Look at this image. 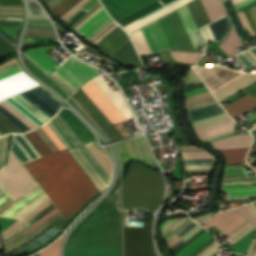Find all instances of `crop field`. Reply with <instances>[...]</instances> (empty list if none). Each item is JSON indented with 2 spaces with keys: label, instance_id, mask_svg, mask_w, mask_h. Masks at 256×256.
I'll use <instances>...</instances> for the list:
<instances>
[{
  "label": "crop field",
  "instance_id": "crop-field-1",
  "mask_svg": "<svg viewBox=\"0 0 256 256\" xmlns=\"http://www.w3.org/2000/svg\"><path fill=\"white\" fill-rule=\"evenodd\" d=\"M35 161L75 212L89 198L100 192L67 149L35 159ZM35 161L27 162L23 166L62 215L71 217L75 212Z\"/></svg>",
  "mask_w": 256,
  "mask_h": 256
},
{
  "label": "crop field",
  "instance_id": "crop-field-2",
  "mask_svg": "<svg viewBox=\"0 0 256 256\" xmlns=\"http://www.w3.org/2000/svg\"><path fill=\"white\" fill-rule=\"evenodd\" d=\"M64 256H121L120 211L107 197L71 232Z\"/></svg>",
  "mask_w": 256,
  "mask_h": 256
},
{
  "label": "crop field",
  "instance_id": "crop-field-3",
  "mask_svg": "<svg viewBox=\"0 0 256 256\" xmlns=\"http://www.w3.org/2000/svg\"><path fill=\"white\" fill-rule=\"evenodd\" d=\"M140 164H131L123 180V206L125 209L143 207L153 212L163 197V178L161 173Z\"/></svg>",
  "mask_w": 256,
  "mask_h": 256
},
{
  "label": "crop field",
  "instance_id": "crop-field-4",
  "mask_svg": "<svg viewBox=\"0 0 256 256\" xmlns=\"http://www.w3.org/2000/svg\"><path fill=\"white\" fill-rule=\"evenodd\" d=\"M25 193L9 175L5 168L0 170V213L20 199ZM38 210L25 194L19 201L4 211L0 216L19 220L3 231L4 238L21 226Z\"/></svg>",
  "mask_w": 256,
  "mask_h": 256
},
{
  "label": "crop field",
  "instance_id": "crop-field-5",
  "mask_svg": "<svg viewBox=\"0 0 256 256\" xmlns=\"http://www.w3.org/2000/svg\"><path fill=\"white\" fill-rule=\"evenodd\" d=\"M161 19L176 50L197 51L199 31L186 5Z\"/></svg>",
  "mask_w": 256,
  "mask_h": 256
},
{
  "label": "crop field",
  "instance_id": "crop-field-6",
  "mask_svg": "<svg viewBox=\"0 0 256 256\" xmlns=\"http://www.w3.org/2000/svg\"><path fill=\"white\" fill-rule=\"evenodd\" d=\"M244 221H246L245 217L236 208H234L217 214L210 220L202 223V225L205 226L206 228L213 225L220 229L221 231L225 232L226 234H229ZM251 226L252 225L247 220L227 237L229 238V240L231 238L234 240ZM254 229L255 228L252 226L234 241L231 239L234 244L229 248V250L236 251L244 255L247 252V249L252 240ZM226 234L223 233V235L225 236Z\"/></svg>",
  "mask_w": 256,
  "mask_h": 256
},
{
  "label": "crop field",
  "instance_id": "crop-field-7",
  "mask_svg": "<svg viewBox=\"0 0 256 256\" xmlns=\"http://www.w3.org/2000/svg\"><path fill=\"white\" fill-rule=\"evenodd\" d=\"M99 74L101 73L97 70L85 65L71 56L58 69L49 75L58 81L59 84L69 94H71L80 86Z\"/></svg>",
  "mask_w": 256,
  "mask_h": 256
},
{
  "label": "crop field",
  "instance_id": "crop-field-8",
  "mask_svg": "<svg viewBox=\"0 0 256 256\" xmlns=\"http://www.w3.org/2000/svg\"><path fill=\"white\" fill-rule=\"evenodd\" d=\"M190 1L158 0L117 23L130 33Z\"/></svg>",
  "mask_w": 256,
  "mask_h": 256
},
{
  "label": "crop field",
  "instance_id": "crop-field-9",
  "mask_svg": "<svg viewBox=\"0 0 256 256\" xmlns=\"http://www.w3.org/2000/svg\"><path fill=\"white\" fill-rule=\"evenodd\" d=\"M123 216L124 256H157L151 239V223L145 222L144 228L125 227Z\"/></svg>",
  "mask_w": 256,
  "mask_h": 256
},
{
  "label": "crop field",
  "instance_id": "crop-field-10",
  "mask_svg": "<svg viewBox=\"0 0 256 256\" xmlns=\"http://www.w3.org/2000/svg\"><path fill=\"white\" fill-rule=\"evenodd\" d=\"M169 221V220H168ZM191 220L188 218L186 219H179V220H170L169 222H165L162 226L163 235L166 237V239L170 238L172 235H174L176 232H178L181 228H183L185 225H187ZM196 226H198L195 222L189 223L187 226H185L183 229H181L178 233H176L174 236H172L170 239L167 240L169 247L173 245L175 242H177L179 239H181L184 235H186L188 232H190L192 229H194ZM202 228L200 225L196 227L194 230H192L190 233H188L185 237H183L181 240H179L177 243H175L173 246L170 247L173 251L176 250L178 247H180L182 244H184L186 241H188L190 238H192L194 235H196L198 232H200ZM206 230H202L200 233H198L196 236H194L192 239H190L188 242H186L184 245H182L180 248H178L175 252L177 254L179 251H181L184 247H186L189 243H191L193 240H195L198 236H200L203 232Z\"/></svg>",
  "mask_w": 256,
  "mask_h": 256
},
{
  "label": "crop field",
  "instance_id": "crop-field-11",
  "mask_svg": "<svg viewBox=\"0 0 256 256\" xmlns=\"http://www.w3.org/2000/svg\"><path fill=\"white\" fill-rule=\"evenodd\" d=\"M59 113L83 144L93 140V134L90 130L71 111L63 109ZM85 146L110 177L112 171V163L110 159L94 146L93 141L85 144Z\"/></svg>",
  "mask_w": 256,
  "mask_h": 256
},
{
  "label": "crop field",
  "instance_id": "crop-field-12",
  "mask_svg": "<svg viewBox=\"0 0 256 256\" xmlns=\"http://www.w3.org/2000/svg\"><path fill=\"white\" fill-rule=\"evenodd\" d=\"M48 225L50 227V224L47 222V220L43 217V215L38 211L35 213L31 218L28 219L26 223H24L21 227H19L16 231H14L12 234H10L7 238H5V243L8 244L11 241L17 239L18 237L24 235L27 236L30 233L34 232L38 228L42 227L43 225ZM43 226L42 228L38 229L34 233L30 234L27 237H20L17 240L11 242L10 244L6 245V251L9 253L12 250L16 249L20 245H24L34 239L36 236L41 234L43 231H45L47 226Z\"/></svg>",
  "mask_w": 256,
  "mask_h": 256
},
{
  "label": "crop field",
  "instance_id": "crop-field-13",
  "mask_svg": "<svg viewBox=\"0 0 256 256\" xmlns=\"http://www.w3.org/2000/svg\"><path fill=\"white\" fill-rule=\"evenodd\" d=\"M252 141L251 134L234 135L219 140L212 141L211 144L218 150H233V149H243L248 148ZM248 149L244 150H234V151H224L222 153L227 163H243L245 162V154Z\"/></svg>",
  "mask_w": 256,
  "mask_h": 256
},
{
  "label": "crop field",
  "instance_id": "crop-field-14",
  "mask_svg": "<svg viewBox=\"0 0 256 256\" xmlns=\"http://www.w3.org/2000/svg\"><path fill=\"white\" fill-rule=\"evenodd\" d=\"M200 77L204 80L212 93H216L233 81L246 75L240 72L228 70L219 66L210 68H194Z\"/></svg>",
  "mask_w": 256,
  "mask_h": 256
},
{
  "label": "crop field",
  "instance_id": "crop-field-15",
  "mask_svg": "<svg viewBox=\"0 0 256 256\" xmlns=\"http://www.w3.org/2000/svg\"><path fill=\"white\" fill-rule=\"evenodd\" d=\"M227 120H231V118L226 113H224V114H220V115H217V116L206 118V119H203V120H200V121L193 122L192 124L194 126V129L196 130V129L207 127V126H210V125H213V124L224 122V121H227ZM230 124H234V122L231 120V121H227V122H224V123H220V124H217V125H214V126H210V127H207V128L196 130V133L197 134L202 133V132H205V131L220 128V127L227 126V125H230ZM233 129H234V125H230V126L223 127V128H220V129H216V130H212V131L205 132V133H202V134H198L197 137H199L200 140H202V139H205V138L217 135V134H221V133L233 130ZM233 134H234V130L230 131V132H227V133H224V134H221V135H218V136H214V137L202 140V141L208 142V141H211V140L219 139V138L226 137V136L233 135Z\"/></svg>",
  "mask_w": 256,
  "mask_h": 256
},
{
  "label": "crop field",
  "instance_id": "crop-field-16",
  "mask_svg": "<svg viewBox=\"0 0 256 256\" xmlns=\"http://www.w3.org/2000/svg\"><path fill=\"white\" fill-rule=\"evenodd\" d=\"M81 89L89 96V98L97 105V107L111 121L113 125L119 122L127 121L125 116L120 112L115 104L93 81Z\"/></svg>",
  "mask_w": 256,
  "mask_h": 256
},
{
  "label": "crop field",
  "instance_id": "crop-field-17",
  "mask_svg": "<svg viewBox=\"0 0 256 256\" xmlns=\"http://www.w3.org/2000/svg\"><path fill=\"white\" fill-rule=\"evenodd\" d=\"M182 148L195 147L188 143L182 132L179 133ZM184 158L212 157L206 151L198 148L182 149ZM215 163L214 158L184 159L186 172L211 171Z\"/></svg>",
  "mask_w": 256,
  "mask_h": 256
},
{
  "label": "crop field",
  "instance_id": "crop-field-18",
  "mask_svg": "<svg viewBox=\"0 0 256 256\" xmlns=\"http://www.w3.org/2000/svg\"><path fill=\"white\" fill-rule=\"evenodd\" d=\"M110 20V17L99 3L72 26L75 27L86 39H89L108 22H110Z\"/></svg>",
  "mask_w": 256,
  "mask_h": 256
},
{
  "label": "crop field",
  "instance_id": "crop-field-19",
  "mask_svg": "<svg viewBox=\"0 0 256 256\" xmlns=\"http://www.w3.org/2000/svg\"><path fill=\"white\" fill-rule=\"evenodd\" d=\"M204 2L213 21L226 14L220 0H204ZM204 2L195 0L187 4L198 28L212 21Z\"/></svg>",
  "mask_w": 256,
  "mask_h": 256
},
{
  "label": "crop field",
  "instance_id": "crop-field-20",
  "mask_svg": "<svg viewBox=\"0 0 256 256\" xmlns=\"http://www.w3.org/2000/svg\"><path fill=\"white\" fill-rule=\"evenodd\" d=\"M72 96L111 140L123 137L81 89Z\"/></svg>",
  "mask_w": 256,
  "mask_h": 256
},
{
  "label": "crop field",
  "instance_id": "crop-field-21",
  "mask_svg": "<svg viewBox=\"0 0 256 256\" xmlns=\"http://www.w3.org/2000/svg\"><path fill=\"white\" fill-rule=\"evenodd\" d=\"M118 149L123 164H126L129 160L135 158L151 166L156 165L142 136L119 145Z\"/></svg>",
  "mask_w": 256,
  "mask_h": 256
},
{
  "label": "crop field",
  "instance_id": "crop-field-22",
  "mask_svg": "<svg viewBox=\"0 0 256 256\" xmlns=\"http://www.w3.org/2000/svg\"><path fill=\"white\" fill-rule=\"evenodd\" d=\"M117 22L156 0H100Z\"/></svg>",
  "mask_w": 256,
  "mask_h": 256
},
{
  "label": "crop field",
  "instance_id": "crop-field-23",
  "mask_svg": "<svg viewBox=\"0 0 256 256\" xmlns=\"http://www.w3.org/2000/svg\"><path fill=\"white\" fill-rule=\"evenodd\" d=\"M0 8H23L22 0H0ZM25 9H0V17L24 18ZM0 18V26L21 27L23 19Z\"/></svg>",
  "mask_w": 256,
  "mask_h": 256
},
{
  "label": "crop field",
  "instance_id": "crop-field-24",
  "mask_svg": "<svg viewBox=\"0 0 256 256\" xmlns=\"http://www.w3.org/2000/svg\"><path fill=\"white\" fill-rule=\"evenodd\" d=\"M25 77H27V76L23 72L15 75V76H12L10 78L0 81V87H3L5 85H8L10 83H13V82L20 80L22 78H25ZM35 85H38V83L33 81L31 78L27 77L18 82H15L13 84H10L8 86L0 88V99L6 97L8 95H11L13 93H16L18 91L30 88Z\"/></svg>",
  "mask_w": 256,
  "mask_h": 256
},
{
  "label": "crop field",
  "instance_id": "crop-field-25",
  "mask_svg": "<svg viewBox=\"0 0 256 256\" xmlns=\"http://www.w3.org/2000/svg\"><path fill=\"white\" fill-rule=\"evenodd\" d=\"M129 40V36L121 28L118 27L96 46L112 55Z\"/></svg>",
  "mask_w": 256,
  "mask_h": 256
},
{
  "label": "crop field",
  "instance_id": "crop-field-26",
  "mask_svg": "<svg viewBox=\"0 0 256 256\" xmlns=\"http://www.w3.org/2000/svg\"><path fill=\"white\" fill-rule=\"evenodd\" d=\"M103 92L116 104V106L121 110V112L126 116L128 120L133 117L120 90L113 92L109 85L102 79L101 76L93 80Z\"/></svg>",
  "mask_w": 256,
  "mask_h": 256
},
{
  "label": "crop field",
  "instance_id": "crop-field-27",
  "mask_svg": "<svg viewBox=\"0 0 256 256\" xmlns=\"http://www.w3.org/2000/svg\"><path fill=\"white\" fill-rule=\"evenodd\" d=\"M31 60L39 65L48 74L59 66L44 50L42 47L33 48L24 52Z\"/></svg>",
  "mask_w": 256,
  "mask_h": 256
},
{
  "label": "crop field",
  "instance_id": "crop-field-28",
  "mask_svg": "<svg viewBox=\"0 0 256 256\" xmlns=\"http://www.w3.org/2000/svg\"><path fill=\"white\" fill-rule=\"evenodd\" d=\"M255 81L256 74H248L214 95L220 103L226 98L234 95L235 93L239 92L240 90H242L243 88L247 87Z\"/></svg>",
  "mask_w": 256,
  "mask_h": 256
},
{
  "label": "crop field",
  "instance_id": "crop-field-29",
  "mask_svg": "<svg viewBox=\"0 0 256 256\" xmlns=\"http://www.w3.org/2000/svg\"><path fill=\"white\" fill-rule=\"evenodd\" d=\"M223 108L234 118L256 108V99L248 94Z\"/></svg>",
  "mask_w": 256,
  "mask_h": 256
},
{
  "label": "crop field",
  "instance_id": "crop-field-30",
  "mask_svg": "<svg viewBox=\"0 0 256 256\" xmlns=\"http://www.w3.org/2000/svg\"><path fill=\"white\" fill-rule=\"evenodd\" d=\"M214 240L213 236L206 231L176 256H194Z\"/></svg>",
  "mask_w": 256,
  "mask_h": 256
},
{
  "label": "crop field",
  "instance_id": "crop-field-31",
  "mask_svg": "<svg viewBox=\"0 0 256 256\" xmlns=\"http://www.w3.org/2000/svg\"><path fill=\"white\" fill-rule=\"evenodd\" d=\"M87 1L89 0H81L77 5H75L71 10H69L65 15H63L61 18L64 20L68 18L71 14H73L76 10H78L81 6H83ZM98 0H90L88 3H86L83 7H81L78 11H76L73 15H71L67 21L69 24H73L76 22L81 16H83L87 11H89L91 8H93L96 4H98Z\"/></svg>",
  "mask_w": 256,
  "mask_h": 256
},
{
  "label": "crop field",
  "instance_id": "crop-field-32",
  "mask_svg": "<svg viewBox=\"0 0 256 256\" xmlns=\"http://www.w3.org/2000/svg\"><path fill=\"white\" fill-rule=\"evenodd\" d=\"M207 87L191 68L186 78L184 97L207 91Z\"/></svg>",
  "mask_w": 256,
  "mask_h": 256
},
{
  "label": "crop field",
  "instance_id": "crop-field-33",
  "mask_svg": "<svg viewBox=\"0 0 256 256\" xmlns=\"http://www.w3.org/2000/svg\"><path fill=\"white\" fill-rule=\"evenodd\" d=\"M30 9V19L28 27L53 28L46 19L40 8L34 3H28Z\"/></svg>",
  "mask_w": 256,
  "mask_h": 256
},
{
  "label": "crop field",
  "instance_id": "crop-field-34",
  "mask_svg": "<svg viewBox=\"0 0 256 256\" xmlns=\"http://www.w3.org/2000/svg\"><path fill=\"white\" fill-rule=\"evenodd\" d=\"M113 56L116 58L126 62L129 65H134V66H140L142 65L136 51L131 43L129 41L127 44H125L118 52H116Z\"/></svg>",
  "mask_w": 256,
  "mask_h": 256
},
{
  "label": "crop field",
  "instance_id": "crop-field-35",
  "mask_svg": "<svg viewBox=\"0 0 256 256\" xmlns=\"http://www.w3.org/2000/svg\"><path fill=\"white\" fill-rule=\"evenodd\" d=\"M241 45H243V44L240 42L234 28L232 27L227 38L222 43H220L218 45V47L221 48L229 57H232V56L240 53L235 48H237Z\"/></svg>",
  "mask_w": 256,
  "mask_h": 256
},
{
  "label": "crop field",
  "instance_id": "crop-field-36",
  "mask_svg": "<svg viewBox=\"0 0 256 256\" xmlns=\"http://www.w3.org/2000/svg\"><path fill=\"white\" fill-rule=\"evenodd\" d=\"M80 0H62L51 10L58 14L60 17L65 14L71 7H73Z\"/></svg>",
  "mask_w": 256,
  "mask_h": 256
},
{
  "label": "crop field",
  "instance_id": "crop-field-37",
  "mask_svg": "<svg viewBox=\"0 0 256 256\" xmlns=\"http://www.w3.org/2000/svg\"><path fill=\"white\" fill-rule=\"evenodd\" d=\"M63 238H64V235L59 240H57L55 243L48 246L41 252H39V256H59V250H60Z\"/></svg>",
  "mask_w": 256,
  "mask_h": 256
},
{
  "label": "crop field",
  "instance_id": "crop-field-38",
  "mask_svg": "<svg viewBox=\"0 0 256 256\" xmlns=\"http://www.w3.org/2000/svg\"><path fill=\"white\" fill-rule=\"evenodd\" d=\"M117 27V24L112 20L110 24H108L104 29H102L89 41L96 45L99 41H101L104 37H106L110 32H112Z\"/></svg>",
  "mask_w": 256,
  "mask_h": 256
},
{
  "label": "crop field",
  "instance_id": "crop-field-39",
  "mask_svg": "<svg viewBox=\"0 0 256 256\" xmlns=\"http://www.w3.org/2000/svg\"><path fill=\"white\" fill-rule=\"evenodd\" d=\"M241 63L247 62L250 67L256 66V47L237 56Z\"/></svg>",
  "mask_w": 256,
  "mask_h": 256
},
{
  "label": "crop field",
  "instance_id": "crop-field-40",
  "mask_svg": "<svg viewBox=\"0 0 256 256\" xmlns=\"http://www.w3.org/2000/svg\"><path fill=\"white\" fill-rule=\"evenodd\" d=\"M256 218V206L251 203L245 206ZM244 206L239 207L238 209L242 212V214L253 224V226L256 228V219L253 217V215L245 208Z\"/></svg>",
  "mask_w": 256,
  "mask_h": 256
},
{
  "label": "crop field",
  "instance_id": "crop-field-41",
  "mask_svg": "<svg viewBox=\"0 0 256 256\" xmlns=\"http://www.w3.org/2000/svg\"><path fill=\"white\" fill-rule=\"evenodd\" d=\"M27 36L56 37L53 29L28 28Z\"/></svg>",
  "mask_w": 256,
  "mask_h": 256
},
{
  "label": "crop field",
  "instance_id": "crop-field-42",
  "mask_svg": "<svg viewBox=\"0 0 256 256\" xmlns=\"http://www.w3.org/2000/svg\"><path fill=\"white\" fill-rule=\"evenodd\" d=\"M14 51H16V49L0 36V60Z\"/></svg>",
  "mask_w": 256,
  "mask_h": 256
},
{
  "label": "crop field",
  "instance_id": "crop-field-43",
  "mask_svg": "<svg viewBox=\"0 0 256 256\" xmlns=\"http://www.w3.org/2000/svg\"><path fill=\"white\" fill-rule=\"evenodd\" d=\"M41 128L48 135V137L53 141V143L58 147L59 150L65 149L64 145L60 142V140L56 137V135L52 132V130L48 127L47 124Z\"/></svg>",
  "mask_w": 256,
  "mask_h": 256
},
{
  "label": "crop field",
  "instance_id": "crop-field-44",
  "mask_svg": "<svg viewBox=\"0 0 256 256\" xmlns=\"http://www.w3.org/2000/svg\"><path fill=\"white\" fill-rule=\"evenodd\" d=\"M208 98H212V95L209 93V91L205 92V93L195 95V96H192V97H189V98H186L185 103L187 105V104H191V103L198 102V101H201V100H205V99H208Z\"/></svg>",
  "mask_w": 256,
  "mask_h": 256
},
{
  "label": "crop field",
  "instance_id": "crop-field-45",
  "mask_svg": "<svg viewBox=\"0 0 256 256\" xmlns=\"http://www.w3.org/2000/svg\"><path fill=\"white\" fill-rule=\"evenodd\" d=\"M217 246L218 245H217L216 241H214L207 248H205L203 251H201L197 256H205V255H207L210 251H212ZM218 252H219V249L217 247L212 252H210L207 256H214Z\"/></svg>",
  "mask_w": 256,
  "mask_h": 256
},
{
  "label": "crop field",
  "instance_id": "crop-field-46",
  "mask_svg": "<svg viewBox=\"0 0 256 256\" xmlns=\"http://www.w3.org/2000/svg\"><path fill=\"white\" fill-rule=\"evenodd\" d=\"M84 53H87V54H89V55H91V56H94V57H96V58H98V59H100V60H102V61H105V62H107V63H110V64H112V65H114L116 62H114V61H112V60H110V59H108V58H106V57H104V56H101L96 50H94V49H92V48H86L85 50H84Z\"/></svg>",
  "mask_w": 256,
  "mask_h": 256
},
{
  "label": "crop field",
  "instance_id": "crop-field-47",
  "mask_svg": "<svg viewBox=\"0 0 256 256\" xmlns=\"http://www.w3.org/2000/svg\"><path fill=\"white\" fill-rule=\"evenodd\" d=\"M17 220L18 219H10V218H5V217H0V228L3 231L5 228L10 226L11 224H13Z\"/></svg>",
  "mask_w": 256,
  "mask_h": 256
},
{
  "label": "crop field",
  "instance_id": "crop-field-48",
  "mask_svg": "<svg viewBox=\"0 0 256 256\" xmlns=\"http://www.w3.org/2000/svg\"><path fill=\"white\" fill-rule=\"evenodd\" d=\"M255 254H256V240L253 239L246 255L255 256Z\"/></svg>",
  "mask_w": 256,
  "mask_h": 256
},
{
  "label": "crop field",
  "instance_id": "crop-field-49",
  "mask_svg": "<svg viewBox=\"0 0 256 256\" xmlns=\"http://www.w3.org/2000/svg\"><path fill=\"white\" fill-rule=\"evenodd\" d=\"M256 97V82L247 88L243 89Z\"/></svg>",
  "mask_w": 256,
  "mask_h": 256
},
{
  "label": "crop field",
  "instance_id": "crop-field-50",
  "mask_svg": "<svg viewBox=\"0 0 256 256\" xmlns=\"http://www.w3.org/2000/svg\"><path fill=\"white\" fill-rule=\"evenodd\" d=\"M211 216H213V214L208 213V214H205V215H203V216H201V217L193 218V220H195V221H197V222H200V221H203V220H205V219L210 218Z\"/></svg>",
  "mask_w": 256,
  "mask_h": 256
},
{
  "label": "crop field",
  "instance_id": "crop-field-51",
  "mask_svg": "<svg viewBox=\"0 0 256 256\" xmlns=\"http://www.w3.org/2000/svg\"><path fill=\"white\" fill-rule=\"evenodd\" d=\"M253 21H256V6L248 9Z\"/></svg>",
  "mask_w": 256,
  "mask_h": 256
},
{
  "label": "crop field",
  "instance_id": "crop-field-52",
  "mask_svg": "<svg viewBox=\"0 0 256 256\" xmlns=\"http://www.w3.org/2000/svg\"><path fill=\"white\" fill-rule=\"evenodd\" d=\"M250 119H248V122L251 123L256 120V111L252 112V114L248 115Z\"/></svg>",
  "mask_w": 256,
  "mask_h": 256
},
{
  "label": "crop field",
  "instance_id": "crop-field-53",
  "mask_svg": "<svg viewBox=\"0 0 256 256\" xmlns=\"http://www.w3.org/2000/svg\"><path fill=\"white\" fill-rule=\"evenodd\" d=\"M56 47H58V46L43 47V48L45 49L46 52H48V51H50V50H52V49H54Z\"/></svg>",
  "mask_w": 256,
  "mask_h": 256
},
{
  "label": "crop field",
  "instance_id": "crop-field-54",
  "mask_svg": "<svg viewBox=\"0 0 256 256\" xmlns=\"http://www.w3.org/2000/svg\"><path fill=\"white\" fill-rule=\"evenodd\" d=\"M252 126H253L254 128H256V123L252 124Z\"/></svg>",
  "mask_w": 256,
  "mask_h": 256
},
{
  "label": "crop field",
  "instance_id": "crop-field-55",
  "mask_svg": "<svg viewBox=\"0 0 256 256\" xmlns=\"http://www.w3.org/2000/svg\"><path fill=\"white\" fill-rule=\"evenodd\" d=\"M33 256H38V253H37V254H35V255H33Z\"/></svg>",
  "mask_w": 256,
  "mask_h": 256
},
{
  "label": "crop field",
  "instance_id": "crop-field-56",
  "mask_svg": "<svg viewBox=\"0 0 256 256\" xmlns=\"http://www.w3.org/2000/svg\"><path fill=\"white\" fill-rule=\"evenodd\" d=\"M254 204L256 205V202H254Z\"/></svg>",
  "mask_w": 256,
  "mask_h": 256
},
{
  "label": "crop field",
  "instance_id": "crop-field-57",
  "mask_svg": "<svg viewBox=\"0 0 256 256\" xmlns=\"http://www.w3.org/2000/svg\"><path fill=\"white\" fill-rule=\"evenodd\" d=\"M255 153H256V150H255Z\"/></svg>",
  "mask_w": 256,
  "mask_h": 256
},
{
  "label": "crop field",
  "instance_id": "crop-field-58",
  "mask_svg": "<svg viewBox=\"0 0 256 256\" xmlns=\"http://www.w3.org/2000/svg\"><path fill=\"white\" fill-rule=\"evenodd\" d=\"M0 249H1V247H0Z\"/></svg>",
  "mask_w": 256,
  "mask_h": 256
}]
</instances>
